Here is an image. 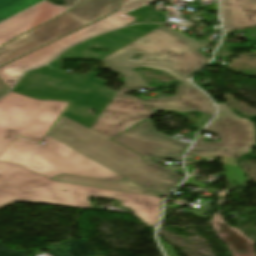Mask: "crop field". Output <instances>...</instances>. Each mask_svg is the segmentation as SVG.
I'll return each instance as SVG.
<instances>
[{
    "label": "crop field",
    "instance_id": "obj_7",
    "mask_svg": "<svg viewBox=\"0 0 256 256\" xmlns=\"http://www.w3.org/2000/svg\"><path fill=\"white\" fill-rule=\"evenodd\" d=\"M68 102L39 101L13 91L0 100V128L43 141Z\"/></svg>",
    "mask_w": 256,
    "mask_h": 256
},
{
    "label": "crop field",
    "instance_id": "obj_2",
    "mask_svg": "<svg viewBox=\"0 0 256 256\" xmlns=\"http://www.w3.org/2000/svg\"><path fill=\"white\" fill-rule=\"evenodd\" d=\"M200 44L184 34L166 28H158L123 49L102 59L110 69L120 71L125 77V85L135 90L148 85L131 69L150 66L170 70L180 81L202 67L208 58L195 50L207 45ZM135 53L143 54L137 62L128 61Z\"/></svg>",
    "mask_w": 256,
    "mask_h": 256
},
{
    "label": "crop field",
    "instance_id": "obj_8",
    "mask_svg": "<svg viewBox=\"0 0 256 256\" xmlns=\"http://www.w3.org/2000/svg\"><path fill=\"white\" fill-rule=\"evenodd\" d=\"M156 0H122L120 11L70 35L45 48H42L20 60H17L0 69V78L10 88L14 86L22 72L37 68L57 56L65 48L85 40L98 33L120 28L129 24L135 18L126 13L140 8Z\"/></svg>",
    "mask_w": 256,
    "mask_h": 256
},
{
    "label": "crop field",
    "instance_id": "obj_24",
    "mask_svg": "<svg viewBox=\"0 0 256 256\" xmlns=\"http://www.w3.org/2000/svg\"><path fill=\"white\" fill-rule=\"evenodd\" d=\"M0 256H29L24 251L8 249L0 242Z\"/></svg>",
    "mask_w": 256,
    "mask_h": 256
},
{
    "label": "crop field",
    "instance_id": "obj_4",
    "mask_svg": "<svg viewBox=\"0 0 256 256\" xmlns=\"http://www.w3.org/2000/svg\"><path fill=\"white\" fill-rule=\"evenodd\" d=\"M45 145L16 135L0 161L23 165L43 176L61 174L117 182L124 179L67 145L47 136Z\"/></svg>",
    "mask_w": 256,
    "mask_h": 256
},
{
    "label": "crop field",
    "instance_id": "obj_17",
    "mask_svg": "<svg viewBox=\"0 0 256 256\" xmlns=\"http://www.w3.org/2000/svg\"><path fill=\"white\" fill-rule=\"evenodd\" d=\"M52 179L58 182L68 183V184L82 185V186L115 190V191L128 192V193L141 194V195H148V196H154V197L159 196V194L152 192L146 188L139 187L138 185L126 179L119 181L117 183L86 179V178H80V177H73V176H67V175H61Z\"/></svg>",
    "mask_w": 256,
    "mask_h": 256
},
{
    "label": "crop field",
    "instance_id": "obj_10",
    "mask_svg": "<svg viewBox=\"0 0 256 256\" xmlns=\"http://www.w3.org/2000/svg\"><path fill=\"white\" fill-rule=\"evenodd\" d=\"M143 156L180 160L190 143L175 141L157 133L149 120L113 139Z\"/></svg>",
    "mask_w": 256,
    "mask_h": 256
},
{
    "label": "crop field",
    "instance_id": "obj_3",
    "mask_svg": "<svg viewBox=\"0 0 256 256\" xmlns=\"http://www.w3.org/2000/svg\"><path fill=\"white\" fill-rule=\"evenodd\" d=\"M97 74H71L47 66L26 73L13 91L37 99L72 101L64 116L91 129L114 96ZM105 89L108 90L105 92ZM97 110L90 115L87 109Z\"/></svg>",
    "mask_w": 256,
    "mask_h": 256
},
{
    "label": "crop field",
    "instance_id": "obj_16",
    "mask_svg": "<svg viewBox=\"0 0 256 256\" xmlns=\"http://www.w3.org/2000/svg\"><path fill=\"white\" fill-rule=\"evenodd\" d=\"M211 224L217 236L227 245L233 256H256L253 241L236 228L225 223L221 215L213 214Z\"/></svg>",
    "mask_w": 256,
    "mask_h": 256
},
{
    "label": "crop field",
    "instance_id": "obj_1",
    "mask_svg": "<svg viewBox=\"0 0 256 256\" xmlns=\"http://www.w3.org/2000/svg\"><path fill=\"white\" fill-rule=\"evenodd\" d=\"M49 136L136 184L166 195L183 177L61 116Z\"/></svg>",
    "mask_w": 256,
    "mask_h": 256
},
{
    "label": "crop field",
    "instance_id": "obj_25",
    "mask_svg": "<svg viewBox=\"0 0 256 256\" xmlns=\"http://www.w3.org/2000/svg\"><path fill=\"white\" fill-rule=\"evenodd\" d=\"M8 88L0 81V97L8 92Z\"/></svg>",
    "mask_w": 256,
    "mask_h": 256
},
{
    "label": "crop field",
    "instance_id": "obj_13",
    "mask_svg": "<svg viewBox=\"0 0 256 256\" xmlns=\"http://www.w3.org/2000/svg\"><path fill=\"white\" fill-rule=\"evenodd\" d=\"M64 6L45 1L0 24V46L87 0H65Z\"/></svg>",
    "mask_w": 256,
    "mask_h": 256
},
{
    "label": "crop field",
    "instance_id": "obj_6",
    "mask_svg": "<svg viewBox=\"0 0 256 256\" xmlns=\"http://www.w3.org/2000/svg\"><path fill=\"white\" fill-rule=\"evenodd\" d=\"M120 6L121 0H89L1 46L0 65L118 11Z\"/></svg>",
    "mask_w": 256,
    "mask_h": 256
},
{
    "label": "crop field",
    "instance_id": "obj_15",
    "mask_svg": "<svg viewBox=\"0 0 256 256\" xmlns=\"http://www.w3.org/2000/svg\"><path fill=\"white\" fill-rule=\"evenodd\" d=\"M227 31L256 26V0H221Z\"/></svg>",
    "mask_w": 256,
    "mask_h": 256
},
{
    "label": "crop field",
    "instance_id": "obj_20",
    "mask_svg": "<svg viewBox=\"0 0 256 256\" xmlns=\"http://www.w3.org/2000/svg\"><path fill=\"white\" fill-rule=\"evenodd\" d=\"M42 0H0V21Z\"/></svg>",
    "mask_w": 256,
    "mask_h": 256
},
{
    "label": "crop field",
    "instance_id": "obj_11",
    "mask_svg": "<svg viewBox=\"0 0 256 256\" xmlns=\"http://www.w3.org/2000/svg\"><path fill=\"white\" fill-rule=\"evenodd\" d=\"M217 105L219 108L217 119L204 130L218 134L219 142H202L203 136H199L193 147L251 148L255 144L254 124L232 114L229 107L223 104Z\"/></svg>",
    "mask_w": 256,
    "mask_h": 256
},
{
    "label": "crop field",
    "instance_id": "obj_23",
    "mask_svg": "<svg viewBox=\"0 0 256 256\" xmlns=\"http://www.w3.org/2000/svg\"><path fill=\"white\" fill-rule=\"evenodd\" d=\"M191 152L202 153V154H211V155H220V156H229L238 158L240 155L250 151V150H233V149H191Z\"/></svg>",
    "mask_w": 256,
    "mask_h": 256
},
{
    "label": "crop field",
    "instance_id": "obj_26",
    "mask_svg": "<svg viewBox=\"0 0 256 256\" xmlns=\"http://www.w3.org/2000/svg\"><path fill=\"white\" fill-rule=\"evenodd\" d=\"M171 73V72H170ZM172 74V73H171ZM173 75V74H172ZM173 76H175V75H173ZM176 77V76H175ZM177 79H178V77H176Z\"/></svg>",
    "mask_w": 256,
    "mask_h": 256
},
{
    "label": "crop field",
    "instance_id": "obj_5",
    "mask_svg": "<svg viewBox=\"0 0 256 256\" xmlns=\"http://www.w3.org/2000/svg\"><path fill=\"white\" fill-rule=\"evenodd\" d=\"M88 196L156 206L162 199L62 184L46 177L0 184V208L15 201L91 208Z\"/></svg>",
    "mask_w": 256,
    "mask_h": 256
},
{
    "label": "crop field",
    "instance_id": "obj_12",
    "mask_svg": "<svg viewBox=\"0 0 256 256\" xmlns=\"http://www.w3.org/2000/svg\"><path fill=\"white\" fill-rule=\"evenodd\" d=\"M160 25H134L126 28H122L118 31L111 32L105 35L97 36L85 43L76 45L66 50L49 66L55 69L62 68L61 61L59 59H91L100 60L111 53L123 48L124 46L132 43L133 41L141 38L152 30L156 29ZM90 47L106 48L109 52L102 55H96L88 51Z\"/></svg>",
    "mask_w": 256,
    "mask_h": 256
},
{
    "label": "crop field",
    "instance_id": "obj_9",
    "mask_svg": "<svg viewBox=\"0 0 256 256\" xmlns=\"http://www.w3.org/2000/svg\"><path fill=\"white\" fill-rule=\"evenodd\" d=\"M119 89L91 129L109 139L154 115L138 98L123 95L130 91L125 86Z\"/></svg>",
    "mask_w": 256,
    "mask_h": 256
},
{
    "label": "crop field",
    "instance_id": "obj_14",
    "mask_svg": "<svg viewBox=\"0 0 256 256\" xmlns=\"http://www.w3.org/2000/svg\"><path fill=\"white\" fill-rule=\"evenodd\" d=\"M152 110L198 111L213 115L214 109L208 99L189 82L177 87V95L142 100Z\"/></svg>",
    "mask_w": 256,
    "mask_h": 256
},
{
    "label": "crop field",
    "instance_id": "obj_18",
    "mask_svg": "<svg viewBox=\"0 0 256 256\" xmlns=\"http://www.w3.org/2000/svg\"><path fill=\"white\" fill-rule=\"evenodd\" d=\"M15 134L0 130V154L14 138ZM41 177L23 166L0 162V182Z\"/></svg>",
    "mask_w": 256,
    "mask_h": 256
},
{
    "label": "crop field",
    "instance_id": "obj_22",
    "mask_svg": "<svg viewBox=\"0 0 256 256\" xmlns=\"http://www.w3.org/2000/svg\"><path fill=\"white\" fill-rule=\"evenodd\" d=\"M128 15L137 18V22L164 23L166 20L163 14L153 12L148 5L130 12Z\"/></svg>",
    "mask_w": 256,
    "mask_h": 256
},
{
    "label": "crop field",
    "instance_id": "obj_21",
    "mask_svg": "<svg viewBox=\"0 0 256 256\" xmlns=\"http://www.w3.org/2000/svg\"><path fill=\"white\" fill-rule=\"evenodd\" d=\"M122 206L131 208V210H133L136 215L147 224L155 226L158 218L159 207L127 202H123Z\"/></svg>",
    "mask_w": 256,
    "mask_h": 256
},
{
    "label": "crop field",
    "instance_id": "obj_19",
    "mask_svg": "<svg viewBox=\"0 0 256 256\" xmlns=\"http://www.w3.org/2000/svg\"><path fill=\"white\" fill-rule=\"evenodd\" d=\"M62 248L49 250L53 256H98L97 252L88 242L83 241H63Z\"/></svg>",
    "mask_w": 256,
    "mask_h": 256
}]
</instances>
